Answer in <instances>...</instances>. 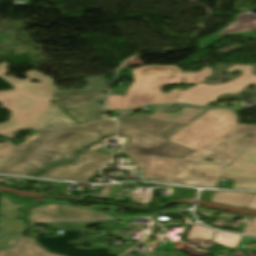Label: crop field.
<instances>
[{
	"mask_svg": "<svg viewBox=\"0 0 256 256\" xmlns=\"http://www.w3.org/2000/svg\"><path fill=\"white\" fill-rule=\"evenodd\" d=\"M215 192H210V191H202L200 198L206 201H211L213 195Z\"/></svg>",
	"mask_w": 256,
	"mask_h": 256,
	"instance_id": "crop-field-29",
	"label": "crop field"
},
{
	"mask_svg": "<svg viewBox=\"0 0 256 256\" xmlns=\"http://www.w3.org/2000/svg\"><path fill=\"white\" fill-rule=\"evenodd\" d=\"M225 36H238L256 40V15L241 12L231 26L200 43L199 49L202 50Z\"/></svg>",
	"mask_w": 256,
	"mask_h": 256,
	"instance_id": "crop-field-14",
	"label": "crop field"
},
{
	"mask_svg": "<svg viewBox=\"0 0 256 256\" xmlns=\"http://www.w3.org/2000/svg\"><path fill=\"white\" fill-rule=\"evenodd\" d=\"M110 156L105 153L82 151L78 161L51 168L40 177L88 182Z\"/></svg>",
	"mask_w": 256,
	"mask_h": 256,
	"instance_id": "crop-field-9",
	"label": "crop field"
},
{
	"mask_svg": "<svg viewBox=\"0 0 256 256\" xmlns=\"http://www.w3.org/2000/svg\"><path fill=\"white\" fill-rule=\"evenodd\" d=\"M4 39H11L9 35H0V42H3Z\"/></svg>",
	"mask_w": 256,
	"mask_h": 256,
	"instance_id": "crop-field-33",
	"label": "crop field"
},
{
	"mask_svg": "<svg viewBox=\"0 0 256 256\" xmlns=\"http://www.w3.org/2000/svg\"><path fill=\"white\" fill-rule=\"evenodd\" d=\"M114 186L115 185L104 186L100 196H91V197L105 199Z\"/></svg>",
	"mask_w": 256,
	"mask_h": 256,
	"instance_id": "crop-field-27",
	"label": "crop field"
},
{
	"mask_svg": "<svg viewBox=\"0 0 256 256\" xmlns=\"http://www.w3.org/2000/svg\"><path fill=\"white\" fill-rule=\"evenodd\" d=\"M169 106L171 105L156 106L148 116L140 114H135L134 116L187 125L210 110V108H197L181 104L179 110L162 112V110Z\"/></svg>",
	"mask_w": 256,
	"mask_h": 256,
	"instance_id": "crop-field-15",
	"label": "crop field"
},
{
	"mask_svg": "<svg viewBox=\"0 0 256 256\" xmlns=\"http://www.w3.org/2000/svg\"><path fill=\"white\" fill-rule=\"evenodd\" d=\"M254 196L249 193L216 192L212 202L246 208Z\"/></svg>",
	"mask_w": 256,
	"mask_h": 256,
	"instance_id": "crop-field-18",
	"label": "crop field"
},
{
	"mask_svg": "<svg viewBox=\"0 0 256 256\" xmlns=\"http://www.w3.org/2000/svg\"><path fill=\"white\" fill-rule=\"evenodd\" d=\"M241 236L228 234L217 231L214 238V243L221 244L223 246L235 248Z\"/></svg>",
	"mask_w": 256,
	"mask_h": 256,
	"instance_id": "crop-field-20",
	"label": "crop field"
},
{
	"mask_svg": "<svg viewBox=\"0 0 256 256\" xmlns=\"http://www.w3.org/2000/svg\"><path fill=\"white\" fill-rule=\"evenodd\" d=\"M83 127H84V126H83ZM84 128H85V127H84ZM96 131H97V130H96ZM100 133H102V132H100ZM102 134H103V137H104V136H105L104 133H102Z\"/></svg>",
	"mask_w": 256,
	"mask_h": 256,
	"instance_id": "crop-field-34",
	"label": "crop field"
},
{
	"mask_svg": "<svg viewBox=\"0 0 256 256\" xmlns=\"http://www.w3.org/2000/svg\"><path fill=\"white\" fill-rule=\"evenodd\" d=\"M102 229L117 230L119 228L117 221H103L100 222Z\"/></svg>",
	"mask_w": 256,
	"mask_h": 256,
	"instance_id": "crop-field-26",
	"label": "crop field"
},
{
	"mask_svg": "<svg viewBox=\"0 0 256 256\" xmlns=\"http://www.w3.org/2000/svg\"><path fill=\"white\" fill-rule=\"evenodd\" d=\"M112 233V231H107V233L103 236H98L96 237L94 240L90 241V242H99V241H109L112 239L106 238L107 235H110Z\"/></svg>",
	"mask_w": 256,
	"mask_h": 256,
	"instance_id": "crop-field-31",
	"label": "crop field"
},
{
	"mask_svg": "<svg viewBox=\"0 0 256 256\" xmlns=\"http://www.w3.org/2000/svg\"><path fill=\"white\" fill-rule=\"evenodd\" d=\"M130 157L140 168V179H150L164 182H175L181 159L137 155L128 150L122 152Z\"/></svg>",
	"mask_w": 256,
	"mask_h": 256,
	"instance_id": "crop-field-10",
	"label": "crop field"
},
{
	"mask_svg": "<svg viewBox=\"0 0 256 256\" xmlns=\"http://www.w3.org/2000/svg\"><path fill=\"white\" fill-rule=\"evenodd\" d=\"M172 72L171 68L144 69V73Z\"/></svg>",
	"mask_w": 256,
	"mask_h": 256,
	"instance_id": "crop-field-30",
	"label": "crop field"
},
{
	"mask_svg": "<svg viewBox=\"0 0 256 256\" xmlns=\"http://www.w3.org/2000/svg\"><path fill=\"white\" fill-rule=\"evenodd\" d=\"M254 149H256V147H254Z\"/></svg>",
	"mask_w": 256,
	"mask_h": 256,
	"instance_id": "crop-field-35",
	"label": "crop field"
},
{
	"mask_svg": "<svg viewBox=\"0 0 256 256\" xmlns=\"http://www.w3.org/2000/svg\"><path fill=\"white\" fill-rule=\"evenodd\" d=\"M247 234L255 235L256 236V216H254L247 232Z\"/></svg>",
	"mask_w": 256,
	"mask_h": 256,
	"instance_id": "crop-field-28",
	"label": "crop field"
},
{
	"mask_svg": "<svg viewBox=\"0 0 256 256\" xmlns=\"http://www.w3.org/2000/svg\"><path fill=\"white\" fill-rule=\"evenodd\" d=\"M64 236L61 237H41L36 238L37 242L48 251L54 253L64 254L66 256H118L109 254L107 249H91L83 250L75 248L76 245L87 243L93 238L76 243L70 244L68 241L78 240L84 231H63Z\"/></svg>",
	"mask_w": 256,
	"mask_h": 256,
	"instance_id": "crop-field-13",
	"label": "crop field"
},
{
	"mask_svg": "<svg viewBox=\"0 0 256 256\" xmlns=\"http://www.w3.org/2000/svg\"><path fill=\"white\" fill-rule=\"evenodd\" d=\"M220 178L236 179L232 189H256V150L246 149L223 169Z\"/></svg>",
	"mask_w": 256,
	"mask_h": 256,
	"instance_id": "crop-field-12",
	"label": "crop field"
},
{
	"mask_svg": "<svg viewBox=\"0 0 256 256\" xmlns=\"http://www.w3.org/2000/svg\"><path fill=\"white\" fill-rule=\"evenodd\" d=\"M102 134L82 127L59 130H38L37 138L21 145L0 169V173L24 175L38 173L49 164L74 158L76 150L96 142Z\"/></svg>",
	"mask_w": 256,
	"mask_h": 256,
	"instance_id": "crop-field-1",
	"label": "crop field"
},
{
	"mask_svg": "<svg viewBox=\"0 0 256 256\" xmlns=\"http://www.w3.org/2000/svg\"><path fill=\"white\" fill-rule=\"evenodd\" d=\"M237 128L234 112L212 109L167 140L197 151Z\"/></svg>",
	"mask_w": 256,
	"mask_h": 256,
	"instance_id": "crop-field-5",
	"label": "crop field"
},
{
	"mask_svg": "<svg viewBox=\"0 0 256 256\" xmlns=\"http://www.w3.org/2000/svg\"><path fill=\"white\" fill-rule=\"evenodd\" d=\"M16 146L8 143H2L0 145V168L4 165L7 159L13 154L16 150Z\"/></svg>",
	"mask_w": 256,
	"mask_h": 256,
	"instance_id": "crop-field-24",
	"label": "crop field"
},
{
	"mask_svg": "<svg viewBox=\"0 0 256 256\" xmlns=\"http://www.w3.org/2000/svg\"><path fill=\"white\" fill-rule=\"evenodd\" d=\"M118 120L143 129L164 139L168 138L169 136L184 127V125L137 118L132 116H121L118 117Z\"/></svg>",
	"mask_w": 256,
	"mask_h": 256,
	"instance_id": "crop-field-16",
	"label": "crop field"
},
{
	"mask_svg": "<svg viewBox=\"0 0 256 256\" xmlns=\"http://www.w3.org/2000/svg\"><path fill=\"white\" fill-rule=\"evenodd\" d=\"M69 125H79V124L75 123L71 118L65 115L60 107L51 103L45 128H53V127L69 126Z\"/></svg>",
	"mask_w": 256,
	"mask_h": 256,
	"instance_id": "crop-field-19",
	"label": "crop field"
},
{
	"mask_svg": "<svg viewBox=\"0 0 256 256\" xmlns=\"http://www.w3.org/2000/svg\"><path fill=\"white\" fill-rule=\"evenodd\" d=\"M89 129H97L106 134V136H114L115 132V122L106 120V121H101L97 122L91 125L86 126Z\"/></svg>",
	"mask_w": 256,
	"mask_h": 256,
	"instance_id": "crop-field-23",
	"label": "crop field"
},
{
	"mask_svg": "<svg viewBox=\"0 0 256 256\" xmlns=\"http://www.w3.org/2000/svg\"><path fill=\"white\" fill-rule=\"evenodd\" d=\"M227 71L240 70L243 72L242 76L223 85H205L200 83L194 88L186 89L180 92L175 102H183L205 106L209 102H214L217 97L225 93L237 94L241 92L248 84L256 83V76L251 74L252 66L234 65Z\"/></svg>",
	"mask_w": 256,
	"mask_h": 256,
	"instance_id": "crop-field-8",
	"label": "crop field"
},
{
	"mask_svg": "<svg viewBox=\"0 0 256 256\" xmlns=\"http://www.w3.org/2000/svg\"><path fill=\"white\" fill-rule=\"evenodd\" d=\"M195 194L194 190L188 189H180V188H173L171 199L181 198V199H190Z\"/></svg>",
	"mask_w": 256,
	"mask_h": 256,
	"instance_id": "crop-field-25",
	"label": "crop field"
},
{
	"mask_svg": "<svg viewBox=\"0 0 256 256\" xmlns=\"http://www.w3.org/2000/svg\"><path fill=\"white\" fill-rule=\"evenodd\" d=\"M94 223H53L48 224L49 230H85L89 225H95Z\"/></svg>",
	"mask_w": 256,
	"mask_h": 256,
	"instance_id": "crop-field-21",
	"label": "crop field"
},
{
	"mask_svg": "<svg viewBox=\"0 0 256 256\" xmlns=\"http://www.w3.org/2000/svg\"><path fill=\"white\" fill-rule=\"evenodd\" d=\"M214 231L208 228H204L198 224L193 225L189 235L187 238L194 239V238H204V239H212Z\"/></svg>",
	"mask_w": 256,
	"mask_h": 256,
	"instance_id": "crop-field-22",
	"label": "crop field"
},
{
	"mask_svg": "<svg viewBox=\"0 0 256 256\" xmlns=\"http://www.w3.org/2000/svg\"><path fill=\"white\" fill-rule=\"evenodd\" d=\"M172 67L173 73L143 74V68ZM210 67L198 73H186L177 66H143L133 69L134 81L125 97L110 95L105 109L132 110L151 104L171 103L181 90H172L164 94L160 88L169 84H198L211 76ZM184 77L185 81H181Z\"/></svg>",
	"mask_w": 256,
	"mask_h": 256,
	"instance_id": "crop-field-4",
	"label": "crop field"
},
{
	"mask_svg": "<svg viewBox=\"0 0 256 256\" xmlns=\"http://www.w3.org/2000/svg\"><path fill=\"white\" fill-rule=\"evenodd\" d=\"M61 256L49 253L41 248L33 238H21L18 244L7 252H0V256Z\"/></svg>",
	"mask_w": 256,
	"mask_h": 256,
	"instance_id": "crop-field-17",
	"label": "crop field"
},
{
	"mask_svg": "<svg viewBox=\"0 0 256 256\" xmlns=\"http://www.w3.org/2000/svg\"><path fill=\"white\" fill-rule=\"evenodd\" d=\"M104 76L87 77L85 81L88 85L85 90L77 91H53L52 100L63 105L73 118L81 123H89L99 118V113L103 106L94 105V101L105 99L107 95L101 94V84Z\"/></svg>",
	"mask_w": 256,
	"mask_h": 256,
	"instance_id": "crop-field-6",
	"label": "crop field"
},
{
	"mask_svg": "<svg viewBox=\"0 0 256 256\" xmlns=\"http://www.w3.org/2000/svg\"><path fill=\"white\" fill-rule=\"evenodd\" d=\"M248 133L256 136V126L240 124L237 130L182 159L175 183L213 187L220 168L233 161L244 147L256 143V137H245ZM205 157L215 161H205Z\"/></svg>",
	"mask_w": 256,
	"mask_h": 256,
	"instance_id": "crop-field-3",
	"label": "crop field"
},
{
	"mask_svg": "<svg viewBox=\"0 0 256 256\" xmlns=\"http://www.w3.org/2000/svg\"><path fill=\"white\" fill-rule=\"evenodd\" d=\"M247 208L256 209V196L253 198V200L250 202Z\"/></svg>",
	"mask_w": 256,
	"mask_h": 256,
	"instance_id": "crop-field-32",
	"label": "crop field"
},
{
	"mask_svg": "<svg viewBox=\"0 0 256 256\" xmlns=\"http://www.w3.org/2000/svg\"><path fill=\"white\" fill-rule=\"evenodd\" d=\"M121 136L127 138L125 149L137 154L185 158L195 152L118 121L117 137Z\"/></svg>",
	"mask_w": 256,
	"mask_h": 256,
	"instance_id": "crop-field-7",
	"label": "crop field"
},
{
	"mask_svg": "<svg viewBox=\"0 0 256 256\" xmlns=\"http://www.w3.org/2000/svg\"><path fill=\"white\" fill-rule=\"evenodd\" d=\"M9 64L0 63V76L12 84L15 89L0 92V108L11 111L8 122L0 124V134L14 132L23 128H44L53 88L51 78L35 71H28V79L20 80L4 76ZM32 79L41 83H30Z\"/></svg>",
	"mask_w": 256,
	"mask_h": 256,
	"instance_id": "crop-field-2",
	"label": "crop field"
},
{
	"mask_svg": "<svg viewBox=\"0 0 256 256\" xmlns=\"http://www.w3.org/2000/svg\"><path fill=\"white\" fill-rule=\"evenodd\" d=\"M110 218L109 216L88 209L51 204L32 209L28 219L33 221L29 223L32 224L51 221H95Z\"/></svg>",
	"mask_w": 256,
	"mask_h": 256,
	"instance_id": "crop-field-11",
	"label": "crop field"
}]
</instances>
